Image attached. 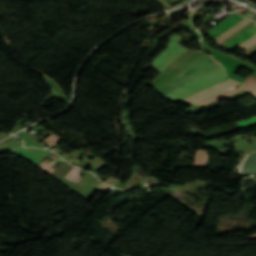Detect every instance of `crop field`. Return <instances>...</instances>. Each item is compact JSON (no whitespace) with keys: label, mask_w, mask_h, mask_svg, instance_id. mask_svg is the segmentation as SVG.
<instances>
[{"label":"crop field","mask_w":256,"mask_h":256,"mask_svg":"<svg viewBox=\"0 0 256 256\" xmlns=\"http://www.w3.org/2000/svg\"><path fill=\"white\" fill-rule=\"evenodd\" d=\"M80 170L76 169L73 167V169L71 170V172L65 176V178L73 181L75 179V177L79 174Z\"/></svg>","instance_id":"11"},{"label":"crop field","mask_w":256,"mask_h":256,"mask_svg":"<svg viewBox=\"0 0 256 256\" xmlns=\"http://www.w3.org/2000/svg\"><path fill=\"white\" fill-rule=\"evenodd\" d=\"M251 20L245 18L243 19L241 22H239L238 24H236L234 27H232L230 30H228L226 33H224L223 35H221L220 37H218L216 40H214L215 42H217L218 44L221 43L223 40H225L226 38H228L230 35H232L233 33H235L236 31H238L240 28H242L245 24L249 23Z\"/></svg>","instance_id":"5"},{"label":"crop field","mask_w":256,"mask_h":256,"mask_svg":"<svg viewBox=\"0 0 256 256\" xmlns=\"http://www.w3.org/2000/svg\"><path fill=\"white\" fill-rule=\"evenodd\" d=\"M239 85L240 84L238 82L228 79L212 88H209L200 93L194 94V95L186 98L182 102L187 103L189 105H194L195 103H197L207 97L218 95V94L233 90V89L237 88Z\"/></svg>","instance_id":"2"},{"label":"crop field","mask_w":256,"mask_h":256,"mask_svg":"<svg viewBox=\"0 0 256 256\" xmlns=\"http://www.w3.org/2000/svg\"><path fill=\"white\" fill-rule=\"evenodd\" d=\"M243 84L250 92L256 89V79L252 76L248 78Z\"/></svg>","instance_id":"8"},{"label":"crop field","mask_w":256,"mask_h":256,"mask_svg":"<svg viewBox=\"0 0 256 256\" xmlns=\"http://www.w3.org/2000/svg\"><path fill=\"white\" fill-rule=\"evenodd\" d=\"M250 239H256V235L250 236Z\"/></svg>","instance_id":"12"},{"label":"crop field","mask_w":256,"mask_h":256,"mask_svg":"<svg viewBox=\"0 0 256 256\" xmlns=\"http://www.w3.org/2000/svg\"><path fill=\"white\" fill-rule=\"evenodd\" d=\"M208 55L212 59H214L210 54ZM208 55L189 65L175 79H173L170 83L166 84L165 86L175 89L182 85L184 82L218 66L219 63L214 59L218 63L217 64ZM187 73H189L190 75H186Z\"/></svg>","instance_id":"1"},{"label":"crop field","mask_w":256,"mask_h":256,"mask_svg":"<svg viewBox=\"0 0 256 256\" xmlns=\"http://www.w3.org/2000/svg\"><path fill=\"white\" fill-rule=\"evenodd\" d=\"M17 135H19L23 138L25 146H34V147H38V148H43L39 143H37L35 140H33L28 135H26L24 133V131L20 132Z\"/></svg>","instance_id":"7"},{"label":"crop field","mask_w":256,"mask_h":256,"mask_svg":"<svg viewBox=\"0 0 256 256\" xmlns=\"http://www.w3.org/2000/svg\"><path fill=\"white\" fill-rule=\"evenodd\" d=\"M254 123H256V116L251 117V118L246 119V120H243L241 122H238L241 129L246 127V126H249L251 124H254Z\"/></svg>","instance_id":"9"},{"label":"crop field","mask_w":256,"mask_h":256,"mask_svg":"<svg viewBox=\"0 0 256 256\" xmlns=\"http://www.w3.org/2000/svg\"><path fill=\"white\" fill-rule=\"evenodd\" d=\"M243 89H244V87L241 85V87H239V88H237V89H235V90H233V91H230V92H227V93H224V94L215 96V97L208 98V99H206V100H204V101H202V102H200V103H198V104L206 105V104H208V103H210V102H213V101H215V100H217V99L226 97V96H228V95H231V94L236 93V92H238V91H240V90H243Z\"/></svg>","instance_id":"6"},{"label":"crop field","mask_w":256,"mask_h":256,"mask_svg":"<svg viewBox=\"0 0 256 256\" xmlns=\"http://www.w3.org/2000/svg\"><path fill=\"white\" fill-rule=\"evenodd\" d=\"M13 152L36 165L50 154L47 150L24 147Z\"/></svg>","instance_id":"4"},{"label":"crop field","mask_w":256,"mask_h":256,"mask_svg":"<svg viewBox=\"0 0 256 256\" xmlns=\"http://www.w3.org/2000/svg\"><path fill=\"white\" fill-rule=\"evenodd\" d=\"M54 162H51L49 164L43 162L41 165H39L38 167H40L42 170H44L45 172H47L48 174H52L54 172V169L50 168L54 163Z\"/></svg>","instance_id":"10"},{"label":"crop field","mask_w":256,"mask_h":256,"mask_svg":"<svg viewBox=\"0 0 256 256\" xmlns=\"http://www.w3.org/2000/svg\"><path fill=\"white\" fill-rule=\"evenodd\" d=\"M252 94H254L256 96V91L252 92Z\"/></svg>","instance_id":"13"},{"label":"crop field","mask_w":256,"mask_h":256,"mask_svg":"<svg viewBox=\"0 0 256 256\" xmlns=\"http://www.w3.org/2000/svg\"><path fill=\"white\" fill-rule=\"evenodd\" d=\"M255 34H256V24H253L248 29H246L245 31H243L242 33H240L239 35L231 39L229 42L224 44L222 47L231 51L234 48H236L237 45L246 41L247 39H249ZM255 43H256V35L250 38L249 40H247L246 42L242 43L241 45H239V48L244 50Z\"/></svg>","instance_id":"3"}]
</instances>
